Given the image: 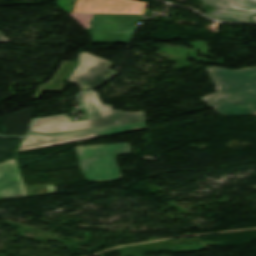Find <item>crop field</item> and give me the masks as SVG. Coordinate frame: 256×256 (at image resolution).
Returning <instances> with one entry per match:
<instances>
[{
	"mask_svg": "<svg viewBox=\"0 0 256 256\" xmlns=\"http://www.w3.org/2000/svg\"><path fill=\"white\" fill-rule=\"evenodd\" d=\"M216 92L202 99L221 115L256 114V68H206Z\"/></svg>",
	"mask_w": 256,
	"mask_h": 256,
	"instance_id": "8a807250",
	"label": "crop field"
},
{
	"mask_svg": "<svg viewBox=\"0 0 256 256\" xmlns=\"http://www.w3.org/2000/svg\"><path fill=\"white\" fill-rule=\"evenodd\" d=\"M78 100L83 107L87 121L70 123L68 116H57L34 120L32 132L54 134L97 128L146 122L144 111L123 112L113 109L111 105L101 103L95 91L79 94Z\"/></svg>",
	"mask_w": 256,
	"mask_h": 256,
	"instance_id": "ac0d7876",
	"label": "crop field"
},
{
	"mask_svg": "<svg viewBox=\"0 0 256 256\" xmlns=\"http://www.w3.org/2000/svg\"><path fill=\"white\" fill-rule=\"evenodd\" d=\"M74 149L86 181L108 182L123 179L115 156L130 154L129 144L78 146Z\"/></svg>",
	"mask_w": 256,
	"mask_h": 256,
	"instance_id": "34b2d1b8",
	"label": "crop field"
},
{
	"mask_svg": "<svg viewBox=\"0 0 256 256\" xmlns=\"http://www.w3.org/2000/svg\"><path fill=\"white\" fill-rule=\"evenodd\" d=\"M147 126L145 123L142 124H131L115 127H105L97 128L87 131L73 132L67 134H58V135H42L37 133H31L30 136L24 138L17 153L74 142L85 139H91L96 137H102L107 135H113L118 133H124L129 131H135L140 129H146Z\"/></svg>",
	"mask_w": 256,
	"mask_h": 256,
	"instance_id": "412701ff",
	"label": "crop field"
},
{
	"mask_svg": "<svg viewBox=\"0 0 256 256\" xmlns=\"http://www.w3.org/2000/svg\"><path fill=\"white\" fill-rule=\"evenodd\" d=\"M141 15L94 14L88 32L93 42H128Z\"/></svg>",
	"mask_w": 256,
	"mask_h": 256,
	"instance_id": "f4fd0767",
	"label": "crop field"
},
{
	"mask_svg": "<svg viewBox=\"0 0 256 256\" xmlns=\"http://www.w3.org/2000/svg\"><path fill=\"white\" fill-rule=\"evenodd\" d=\"M78 58L79 63L67 80L81 86L83 91L91 90L101 85L117 73L109 70L114 65L109 61L84 52L80 53Z\"/></svg>",
	"mask_w": 256,
	"mask_h": 256,
	"instance_id": "dd49c442",
	"label": "crop field"
},
{
	"mask_svg": "<svg viewBox=\"0 0 256 256\" xmlns=\"http://www.w3.org/2000/svg\"><path fill=\"white\" fill-rule=\"evenodd\" d=\"M215 8L207 16L214 20L250 23L249 16L256 15V0H200Z\"/></svg>",
	"mask_w": 256,
	"mask_h": 256,
	"instance_id": "e52e79f7",
	"label": "crop field"
},
{
	"mask_svg": "<svg viewBox=\"0 0 256 256\" xmlns=\"http://www.w3.org/2000/svg\"><path fill=\"white\" fill-rule=\"evenodd\" d=\"M147 4L133 0H78L73 12L143 14Z\"/></svg>",
	"mask_w": 256,
	"mask_h": 256,
	"instance_id": "d8731c3e",
	"label": "crop field"
},
{
	"mask_svg": "<svg viewBox=\"0 0 256 256\" xmlns=\"http://www.w3.org/2000/svg\"><path fill=\"white\" fill-rule=\"evenodd\" d=\"M27 196L14 159L0 164V199Z\"/></svg>",
	"mask_w": 256,
	"mask_h": 256,
	"instance_id": "5a996713",
	"label": "crop field"
},
{
	"mask_svg": "<svg viewBox=\"0 0 256 256\" xmlns=\"http://www.w3.org/2000/svg\"><path fill=\"white\" fill-rule=\"evenodd\" d=\"M75 62L63 61L61 67L47 84H41L32 99L38 100L43 91L59 93L64 90L65 77L75 66Z\"/></svg>",
	"mask_w": 256,
	"mask_h": 256,
	"instance_id": "3316defc",
	"label": "crop field"
},
{
	"mask_svg": "<svg viewBox=\"0 0 256 256\" xmlns=\"http://www.w3.org/2000/svg\"><path fill=\"white\" fill-rule=\"evenodd\" d=\"M72 18H74L80 25H82L86 31L88 32L91 28L90 21L92 19L93 14H69Z\"/></svg>",
	"mask_w": 256,
	"mask_h": 256,
	"instance_id": "28ad6ade",
	"label": "crop field"
},
{
	"mask_svg": "<svg viewBox=\"0 0 256 256\" xmlns=\"http://www.w3.org/2000/svg\"><path fill=\"white\" fill-rule=\"evenodd\" d=\"M0 42H9L4 35L0 33Z\"/></svg>",
	"mask_w": 256,
	"mask_h": 256,
	"instance_id": "d1516ede",
	"label": "crop field"
},
{
	"mask_svg": "<svg viewBox=\"0 0 256 256\" xmlns=\"http://www.w3.org/2000/svg\"><path fill=\"white\" fill-rule=\"evenodd\" d=\"M252 18H253V22L256 23V16H254Z\"/></svg>",
	"mask_w": 256,
	"mask_h": 256,
	"instance_id": "22f410ed",
	"label": "crop field"
}]
</instances>
